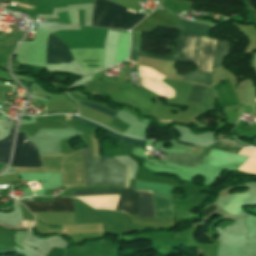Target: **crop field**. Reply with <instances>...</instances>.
<instances>
[{"label": "crop field", "instance_id": "crop-field-23", "mask_svg": "<svg viewBox=\"0 0 256 256\" xmlns=\"http://www.w3.org/2000/svg\"><path fill=\"white\" fill-rule=\"evenodd\" d=\"M68 13V12H67ZM68 17H69V14H68ZM69 21H70V18H69ZM70 24H71V22H70Z\"/></svg>", "mask_w": 256, "mask_h": 256}, {"label": "crop field", "instance_id": "crop-field-19", "mask_svg": "<svg viewBox=\"0 0 256 256\" xmlns=\"http://www.w3.org/2000/svg\"><path fill=\"white\" fill-rule=\"evenodd\" d=\"M111 194H118L117 190L74 192L73 196H96V195H111Z\"/></svg>", "mask_w": 256, "mask_h": 256}, {"label": "crop field", "instance_id": "crop-field-2", "mask_svg": "<svg viewBox=\"0 0 256 256\" xmlns=\"http://www.w3.org/2000/svg\"><path fill=\"white\" fill-rule=\"evenodd\" d=\"M156 218L174 217L172 203L169 198L159 196L152 192ZM151 192L139 191V217L155 218L152 205ZM116 210L129 214H138V191L123 188L120 190V199Z\"/></svg>", "mask_w": 256, "mask_h": 256}, {"label": "crop field", "instance_id": "crop-field-21", "mask_svg": "<svg viewBox=\"0 0 256 256\" xmlns=\"http://www.w3.org/2000/svg\"><path fill=\"white\" fill-rule=\"evenodd\" d=\"M124 140L145 148V142L146 141H144V140L131 139V138H127V137H124Z\"/></svg>", "mask_w": 256, "mask_h": 256}, {"label": "crop field", "instance_id": "crop-field-14", "mask_svg": "<svg viewBox=\"0 0 256 256\" xmlns=\"http://www.w3.org/2000/svg\"><path fill=\"white\" fill-rule=\"evenodd\" d=\"M240 154L250 156L249 159L237 170L256 173V149L243 148Z\"/></svg>", "mask_w": 256, "mask_h": 256}, {"label": "crop field", "instance_id": "crop-field-20", "mask_svg": "<svg viewBox=\"0 0 256 256\" xmlns=\"http://www.w3.org/2000/svg\"><path fill=\"white\" fill-rule=\"evenodd\" d=\"M80 101H81V100H80ZM81 105H82V106H86V107L93 108V109H95V110H98V111H100V112H103V113H105V114H107V115H110V116H112V117H114V115H115V112H113V111H110V110H108V109H105V108H102V107H99V106L90 104V103L85 102V101H81Z\"/></svg>", "mask_w": 256, "mask_h": 256}, {"label": "crop field", "instance_id": "crop-field-16", "mask_svg": "<svg viewBox=\"0 0 256 256\" xmlns=\"http://www.w3.org/2000/svg\"><path fill=\"white\" fill-rule=\"evenodd\" d=\"M13 133H14V128L11 129V133L7 138L0 141V162L4 164H7L8 162L11 145H12Z\"/></svg>", "mask_w": 256, "mask_h": 256}, {"label": "crop field", "instance_id": "crop-field-1", "mask_svg": "<svg viewBox=\"0 0 256 256\" xmlns=\"http://www.w3.org/2000/svg\"><path fill=\"white\" fill-rule=\"evenodd\" d=\"M200 38L201 37L198 36L180 33L176 48L173 50L172 54L170 53L171 55L157 56L140 52L139 56L165 61L194 63ZM216 40L217 39L202 37L195 63L197 65V71L212 73L211 63L213 61V53L215 49Z\"/></svg>", "mask_w": 256, "mask_h": 256}, {"label": "crop field", "instance_id": "crop-field-8", "mask_svg": "<svg viewBox=\"0 0 256 256\" xmlns=\"http://www.w3.org/2000/svg\"><path fill=\"white\" fill-rule=\"evenodd\" d=\"M228 49H229V43L222 42V41L217 42L215 55H214V62H213L214 67L221 66L222 59L228 55ZM183 80L211 86L212 74L192 72L186 75Z\"/></svg>", "mask_w": 256, "mask_h": 256}, {"label": "crop field", "instance_id": "crop-field-11", "mask_svg": "<svg viewBox=\"0 0 256 256\" xmlns=\"http://www.w3.org/2000/svg\"><path fill=\"white\" fill-rule=\"evenodd\" d=\"M216 91L207 86L193 85L187 102L200 103V109L213 111Z\"/></svg>", "mask_w": 256, "mask_h": 256}, {"label": "crop field", "instance_id": "crop-field-10", "mask_svg": "<svg viewBox=\"0 0 256 256\" xmlns=\"http://www.w3.org/2000/svg\"><path fill=\"white\" fill-rule=\"evenodd\" d=\"M46 57L47 63H69L74 60L64 43L52 34L48 38Z\"/></svg>", "mask_w": 256, "mask_h": 256}, {"label": "crop field", "instance_id": "crop-field-3", "mask_svg": "<svg viewBox=\"0 0 256 256\" xmlns=\"http://www.w3.org/2000/svg\"><path fill=\"white\" fill-rule=\"evenodd\" d=\"M86 169V186L94 184L123 185L128 168L113 158H92L91 147L81 148ZM129 171L127 175V181Z\"/></svg>", "mask_w": 256, "mask_h": 256}, {"label": "crop field", "instance_id": "crop-field-22", "mask_svg": "<svg viewBox=\"0 0 256 256\" xmlns=\"http://www.w3.org/2000/svg\"><path fill=\"white\" fill-rule=\"evenodd\" d=\"M5 168V165L0 163V172Z\"/></svg>", "mask_w": 256, "mask_h": 256}, {"label": "crop field", "instance_id": "crop-field-17", "mask_svg": "<svg viewBox=\"0 0 256 256\" xmlns=\"http://www.w3.org/2000/svg\"><path fill=\"white\" fill-rule=\"evenodd\" d=\"M246 198L247 195L243 193H235L233 198L231 199V201L224 210L227 211L228 213L237 214Z\"/></svg>", "mask_w": 256, "mask_h": 256}, {"label": "crop field", "instance_id": "crop-field-24", "mask_svg": "<svg viewBox=\"0 0 256 256\" xmlns=\"http://www.w3.org/2000/svg\"><path fill=\"white\" fill-rule=\"evenodd\" d=\"M240 109V111H242V109L241 108H239Z\"/></svg>", "mask_w": 256, "mask_h": 256}, {"label": "crop field", "instance_id": "crop-field-6", "mask_svg": "<svg viewBox=\"0 0 256 256\" xmlns=\"http://www.w3.org/2000/svg\"><path fill=\"white\" fill-rule=\"evenodd\" d=\"M11 166L42 167L37 148L31 144L23 132L16 137V148Z\"/></svg>", "mask_w": 256, "mask_h": 256}, {"label": "crop field", "instance_id": "crop-field-9", "mask_svg": "<svg viewBox=\"0 0 256 256\" xmlns=\"http://www.w3.org/2000/svg\"><path fill=\"white\" fill-rule=\"evenodd\" d=\"M30 212H74L71 198H54V202H21Z\"/></svg>", "mask_w": 256, "mask_h": 256}, {"label": "crop field", "instance_id": "crop-field-12", "mask_svg": "<svg viewBox=\"0 0 256 256\" xmlns=\"http://www.w3.org/2000/svg\"><path fill=\"white\" fill-rule=\"evenodd\" d=\"M212 25L195 23L184 19H179L178 31L206 36Z\"/></svg>", "mask_w": 256, "mask_h": 256}, {"label": "crop field", "instance_id": "crop-field-5", "mask_svg": "<svg viewBox=\"0 0 256 256\" xmlns=\"http://www.w3.org/2000/svg\"><path fill=\"white\" fill-rule=\"evenodd\" d=\"M209 147L235 153V154H237L241 149L240 147L228 142H215ZM215 149L212 150L209 156V163H208L209 165L218 166V165H225V164H231V163H238V162H244L248 159V157L246 156L235 155V154H231V153H227V152H223ZM189 151L208 156L211 149L199 147V146H191Z\"/></svg>", "mask_w": 256, "mask_h": 256}, {"label": "crop field", "instance_id": "crop-field-15", "mask_svg": "<svg viewBox=\"0 0 256 256\" xmlns=\"http://www.w3.org/2000/svg\"><path fill=\"white\" fill-rule=\"evenodd\" d=\"M71 117H72V119H73L75 122L82 123V124H85V125H87V126H90V127L96 128V129L105 130V131L108 132L106 136L111 137V138H113V139H115V140H117V141H119V142L122 141V138H121L120 135H118L117 133H115V132H113V131H111V130H109V129H107V128L101 126V125H98V124H96V123H93V122H91V121H88V120H86V119H84V118H81V117H79V116H73V115H71ZM71 117H70V115H67V120L71 119Z\"/></svg>", "mask_w": 256, "mask_h": 256}, {"label": "crop field", "instance_id": "crop-field-4", "mask_svg": "<svg viewBox=\"0 0 256 256\" xmlns=\"http://www.w3.org/2000/svg\"><path fill=\"white\" fill-rule=\"evenodd\" d=\"M130 10V9H129ZM127 8L108 0H94L92 25L99 27H112L130 29L145 15L129 11Z\"/></svg>", "mask_w": 256, "mask_h": 256}, {"label": "crop field", "instance_id": "crop-field-18", "mask_svg": "<svg viewBox=\"0 0 256 256\" xmlns=\"http://www.w3.org/2000/svg\"><path fill=\"white\" fill-rule=\"evenodd\" d=\"M141 45H142V38H132L131 50H130V54H129L130 59H133L135 61L137 60L138 51H139ZM130 59H128V60H130ZM135 61H133V62H135Z\"/></svg>", "mask_w": 256, "mask_h": 256}, {"label": "crop field", "instance_id": "crop-field-13", "mask_svg": "<svg viewBox=\"0 0 256 256\" xmlns=\"http://www.w3.org/2000/svg\"><path fill=\"white\" fill-rule=\"evenodd\" d=\"M170 188L171 187L168 185H161L157 183H147V182H141L137 180L135 181V186H134V189L155 191L167 197H170V194H169Z\"/></svg>", "mask_w": 256, "mask_h": 256}, {"label": "crop field", "instance_id": "crop-field-7", "mask_svg": "<svg viewBox=\"0 0 256 256\" xmlns=\"http://www.w3.org/2000/svg\"><path fill=\"white\" fill-rule=\"evenodd\" d=\"M178 21L174 20L158 11H154L132 31L154 32L158 27L177 30Z\"/></svg>", "mask_w": 256, "mask_h": 256}]
</instances>
